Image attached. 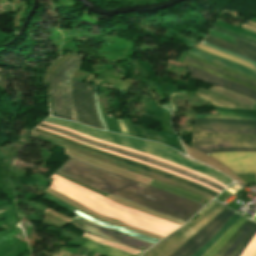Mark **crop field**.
Returning a JSON list of instances; mask_svg holds the SVG:
<instances>
[{
  "label": "crop field",
  "mask_w": 256,
  "mask_h": 256,
  "mask_svg": "<svg viewBox=\"0 0 256 256\" xmlns=\"http://www.w3.org/2000/svg\"><path fill=\"white\" fill-rule=\"evenodd\" d=\"M45 121L76 130L78 132H81V133L88 135L90 137H93V138H97V139H100L103 141H107L110 143H114L117 145H121L124 147H128L131 149H135L138 151H142L145 153L155 155L157 157L163 158L165 160L176 163L183 167L197 171L204 175H208V176L220 181L221 183H223L226 186L228 184L232 183V181L229 180L227 177H225L224 175H222L210 168H207L205 166L199 165L197 163L191 162L189 160H186V159H183L181 157L171 154L172 149L165 147L161 144L152 143V142H148V141H144V140H140V139L124 136V135L99 131V130L88 128V127H85V126H82V125H79L76 123H72V122H69L66 120L55 119V118H51V117H48Z\"/></svg>",
  "instance_id": "obj_3"
},
{
  "label": "crop field",
  "mask_w": 256,
  "mask_h": 256,
  "mask_svg": "<svg viewBox=\"0 0 256 256\" xmlns=\"http://www.w3.org/2000/svg\"><path fill=\"white\" fill-rule=\"evenodd\" d=\"M218 114L256 116V110H231L216 108Z\"/></svg>",
  "instance_id": "obj_30"
},
{
  "label": "crop field",
  "mask_w": 256,
  "mask_h": 256,
  "mask_svg": "<svg viewBox=\"0 0 256 256\" xmlns=\"http://www.w3.org/2000/svg\"><path fill=\"white\" fill-rule=\"evenodd\" d=\"M204 41L256 60V47L240 40L235 39L237 46L215 39L210 36L206 37Z\"/></svg>",
  "instance_id": "obj_16"
},
{
  "label": "crop field",
  "mask_w": 256,
  "mask_h": 256,
  "mask_svg": "<svg viewBox=\"0 0 256 256\" xmlns=\"http://www.w3.org/2000/svg\"><path fill=\"white\" fill-rule=\"evenodd\" d=\"M195 48L200 49V50H203V51H205V52H208V53L213 54V55H216V56H220V57L226 58V59H228V60H230V61H233V62H235V63L244 65V66H246V67H248V68H251V69L255 70L254 67H252L250 64H248V63L245 62V61H242V60H239V59H237V58L228 56V55H226V54H224V53H222V52H219V51H217V50H214V49H212V48L202 46V45H200L199 43L195 46ZM255 71H256V70H255Z\"/></svg>",
  "instance_id": "obj_28"
},
{
  "label": "crop field",
  "mask_w": 256,
  "mask_h": 256,
  "mask_svg": "<svg viewBox=\"0 0 256 256\" xmlns=\"http://www.w3.org/2000/svg\"><path fill=\"white\" fill-rule=\"evenodd\" d=\"M192 147L199 151L217 147L256 148V127L194 126Z\"/></svg>",
  "instance_id": "obj_5"
},
{
  "label": "crop field",
  "mask_w": 256,
  "mask_h": 256,
  "mask_svg": "<svg viewBox=\"0 0 256 256\" xmlns=\"http://www.w3.org/2000/svg\"><path fill=\"white\" fill-rule=\"evenodd\" d=\"M43 123H45V122H43ZM46 124H49V123H46ZM50 125H53V126H56V127H59V128H63V129L69 130V131H72V130H70V129H67V128H64V127H61V126H58V125H54V124H50ZM72 132H74V131H72ZM75 133H77V132H75ZM77 134H79V133H77ZM79 135L85 136V135H82V134H79ZM85 137H87V136H85ZM88 138H90V137H88ZM91 139H93V138H91ZM94 140H97V139H94ZM97 141H100V140H97ZM100 142H103V141H100ZM103 143H106V144H109V145H112V146H116V147H120V148H123V149H127V150H130V151L139 153V154H141V155H144V156H147V157H150V158H153V159H156V160H159V161L168 163V164L173 165V166H176V167H178V168H181V169H184V170L193 172V173H195V174H197V175H200V176H202V177H204V178H206V179L212 180V181H214V182L220 184V185L223 186V187H226V186H224L223 184H221V183L215 181L214 179H212V178H210V177L204 176V175H202V174H199V173H197V172H194V171H191V170H189V169L183 168V167H181V166L175 165V164H173V163H170V162H168V161H165V160H162V159H160V158L154 157V156H152V155L145 154V153H142V152H138V151H135V150H131V149H128V148H124V147H121V146H117V145H114V144H110V143H107V142H103Z\"/></svg>",
  "instance_id": "obj_25"
},
{
  "label": "crop field",
  "mask_w": 256,
  "mask_h": 256,
  "mask_svg": "<svg viewBox=\"0 0 256 256\" xmlns=\"http://www.w3.org/2000/svg\"><path fill=\"white\" fill-rule=\"evenodd\" d=\"M72 96L79 121L91 127L102 129L94 106V85L72 81Z\"/></svg>",
  "instance_id": "obj_6"
},
{
  "label": "crop field",
  "mask_w": 256,
  "mask_h": 256,
  "mask_svg": "<svg viewBox=\"0 0 256 256\" xmlns=\"http://www.w3.org/2000/svg\"><path fill=\"white\" fill-rule=\"evenodd\" d=\"M45 198H47V199H49V200H51V201H53V202H55V203H57V204H59V205L65 207L66 209H68V210H70V211H72V212L75 210V209H73V208H71V207H69V206L63 204L62 202H60L59 200H57L56 198H54V197H52V196H50V195H48V194H46Z\"/></svg>",
  "instance_id": "obj_34"
},
{
  "label": "crop field",
  "mask_w": 256,
  "mask_h": 256,
  "mask_svg": "<svg viewBox=\"0 0 256 256\" xmlns=\"http://www.w3.org/2000/svg\"><path fill=\"white\" fill-rule=\"evenodd\" d=\"M70 224L76 226L77 228L83 231L93 233L95 235L101 236L103 238L112 240L114 242H117L123 245H127L139 250H141L142 248H145L144 250H141V251H145L147 248L153 245V244H149L147 242L141 241L139 239L131 238L118 231L109 230L107 228L98 226L78 216H76Z\"/></svg>",
  "instance_id": "obj_9"
},
{
  "label": "crop field",
  "mask_w": 256,
  "mask_h": 256,
  "mask_svg": "<svg viewBox=\"0 0 256 256\" xmlns=\"http://www.w3.org/2000/svg\"><path fill=\"white\" fill-rule=\"evenodd\" d=\"M240 217L241 216L235 213L215 234V236L210 241H208L202 248H200L193 256H202L222 236V234Z\"/></svg>",
  "instance_id": "obj_22"
},
{
  "label": "crop field",
  "mask_w": 256,
  "mask_h": 256,
  "mask_svg": "<svg viewBox=\"0 0 256 256\" xmlns=\"http://www.w3.org/2000/svg\"><path fill=\"white\" fill-rule=\"evenodd\" d=\"M218 151H256V149H242V148H217V149H210L202 151L206 154Z\"/></svg>",
  "instance_id": "obj_31"
},
{
  "label": "crop field",
  "mask_w": 256,
  "mask_h": 256,
  "mask_svg": "<svg viewBox=\"0 0 256 256\" xmlns=\"http://www.w3.org/2000/svg\"><path fill=\"white\" fill-rule=\"evenodd\" d=\"M256 233V223L246 221L214 256H239Z\"/></svg>",
  "instance_id": "obj_13"
},
{
  "label": "crop field",
  "mask_w": 256,
  "mask_h": 256,
  "mask_svg": "<svg viewBox=\"0 0 256 256\" xmlns=\"http://www.w3.org/2000/svg\"><path fill=\"white\" fill-rule=\"evenodd\" d=\"M81 246L86 247V248H88L92 251L98 252L100 254H103L105 256H133V255H130L128 253L110 248L108 246L100 245V244H98L96 242H93L89 239H87L84 243H82ZM142 253L143 252H141V253H139L135 256H139Z\"/></svg>",
  "instance_id": "obj_18"
},
{
  "label": "crop field",
  "mask_w": 256,
  "mask_h": 256,
  "mask_svg": "<svg viewBox=\"0 0 256 256\" xmlns=\"http://www.w3.org/2000/svg\"><path fill=\"white\" fill-rule=\"evenodd\" d=\"M34 131H37L39 133H42V134H45L47 136H50V137H53V138H56L58 140H61V141H64L66 143H69V144H72L74 146H77V147H80L82 149H85L87 151H90V152H93L95 154H99V155H103V156H106L108 158H111V159H114L116 161H119V162H122L124 164H127V165H131V166H134V167H137V168H141V169H144V170H147V171H150V172H153L155 174H158V175H161V176H164V177H167V178H170V179H173L175 181H178V182H181V183H184V184H187L189 186H192L198 190H201L205 193H208L214 197H216L218 195V193L214 192V191H211L197 183H193V182H189V181H186L180 177H177L175 175H172V174H169L167 172H164V171H161V170H158L156 168H153V167H149V166H145V165H142V164H139V163H136V162H133V161H130V160H127V159H124V158H121V157H118V156H115V155H112V154H109V153H106V152H103V151H100V150H97V149H94V148H91V147H88V146H85V145H82V144H79L77 142H74L68 138H65V137H61V136H58V135H55V134H52L50 132H47V131H44V130H40V129H37V128H34Z\"/></svg>",
  "instance_id": "obj_8"
},
{
  "label": "crop field",
  "mask_w": 256,
  "mask_h": 256,
  "mask_svg": "<svg viewBox=\"0 0 256 256\" xmlns=\"http://www.w3.org/2000/svg\"><path fill=\"white\" fill-rule=\"evenodd\" d=\"M212 29H215V30H218V31H220V32H223V33H226V34H229V35L238 37V38H240V39H243V40H245V41H248V42L253 43V44L256 45V42H254V41H251V40H248V39L239 37V36H237V35H234V34H232V33L227 32V31H225V30H223V29H220V28H217V27H214V26H212Z\"/></svg>",
  "instance_id": "obj_36"
},
{
  "label": "crop field",
  "mask_w": 256,
  "mask_h": 256,
  "mask_svg": "<svg viewBox=\"0 0 256 256\" xmlns=\"http://www.w3.org/2000/svg\"><path fill=\"white\" fill-rule=\"evenodd\" d=\"M75 213H77V214H79V215H81V216H83V217H85V218H87V219H89V220H91V221H93V222L99 224V225H102V226H104V227H108V228H112V229L119 230V231H121V232H123V233H125V234L135 236V237L140 238V239H142V240H144V241H147V242H150V243H153V244H155L156 242H158V240H154V239H150V238L143 237V236H141V235H139V234H136V233H134V232H132V231H130V230L122 229V228L117 227V226H113V225H110V224L103 223V222H101V221H98V220H96V219H94V218H91V217H89V216H87V215H85V214H83V213H81V212H78V211H76V210H75Z\"/></svg>",
  "instance_id": "obj_24"
},
{
  "label": "crop field",
  "mask_w": 256,
  "mask_h": 256,
  "mask_svg": "<svg viewBox=\"0 0 256 256\" xmlns=\"http://www.w3.org/2000/svg\"><path fill=\"white\" fill-rule=\"evenodd\" d=\"M225 207L219 206L213 210L208 216H206L200 223H198L194 228H192L188 233H186L182 238L176 241L174 244L169 246L163 252L157 256H170L181 246H183L187 241L194 237L198 232H200L206 225H208Z\"/></svg>",
  "instance_id": "obj_15"
},
{
  "label": "crop field",
  "mask_w": 256,
  "mask_h": 256,
  "mask_svg": "<svg viewBox=\"0 0 256 256\" xmlns=\"http://www.w3.org/2000/svg\"><path fill=\"white\" fill-rule=\"evenodd\" d=\"M198 124H225V125H250V126H256V121L233 120V119H218V118L195 119L194 125H198Z\"/></svg>",
  "instance_id": "obj_21"
},
{
  "label": "crop field",
  "mask_w": 256,
  "mask_h": 256,
  "mask_svg": "<svg viewBox=\"0 0 256 256\" xmlns=\"http://www.w3.org/2000/svg\"><path fill=\"white\" fill-rule=\"evenodd\" d=\"M37 128H41V127L37 126ZM41 129H44V128H41ZM44 130H46V129H44ZM47 131H49V130H47ZM50 132H52V131H50ZM53 133H55V132H53ZM55 134H58V133H55ZM58 135H61V134H58ZM61 136H64V135H61ZM65 137H67V136H65ZM68 138H69V137H68ZM70 139H73V138H70ZM73 140H75V141H77V142H80V143H82V144H85V145H88V146L97 148V147H95V146L89 145V144L84 143V142H81V141H79V140H76V139H73ZM97 149H100V148H97ZM100 150H103V151H106V152H109V153H112V154H115V155H118V156H121V157L130 159V160H133V161H136V162L145 164V165H149V166L156 167V166H154V165H151V164L142 162V161H140V160H137V159H134V158H131V157H127V156H124V155H121V154H117V153H114V152H110V151H107V150H104V149H100ZM156 168H159V167H156ZM159 169L164 170V171H167V172L172 173V174H175V175H177V176L183 177V178H185V179H187V180L197 182V183H199V184H201V185H203V186H205V187H208V188H210V189H212V190H214V191L220 193V191H218V190H216V189H214V188H212V187H209V186H207V185H205V184H203V183H201V182H199V181L193 180V179H191V178H188V177H185V176L176 174V173H174V172H171V171H168V170H165V169H162V168H159ZM159 169H158V170H159Z\"/></svg>",
  "instance_id": "obj_26"
},
{
  "label": "crop field",
  "mask_w": 256,
  "mask_h": 256,
  "mask_svg": "<svg viewBox=\"0 0 256 256\" xmlns=\"http://www.w3.org/2000/svg\"><path fill=\"white\" fill-rule=\"evenodd\" d=\"M83 58L68 54L58 59L45 74L53 116L77 121L71 101V78Z\"/></svg>",
  "instance_id": "obj_4"
},
{
  "label": "crop field",
  "mask_w": 256,
  "mask_h": 256,
  "mask_svg": "<svg viewBox=\"0 0 256 256\" xmlns=\"http://www.w3.org/2000/svg\"><path fill=\"white\" fill-rule=\"evenodd\" d=\"M215 203V201L209 203L197 216H195L192 221L194 219H196L199 215H201L205 210H207L211 205H213ZM191 223V221H189L188 223H186L184 226L180 227L179 229H177L175 232H173L172 234H170L169 236H167L165 239H163L162 241H160L158 244H156L154 247L150 248L149 250H147L142 256L148 254L149 252L153 251L154 249H156L157 247H159L160 245H162L164 242H166L168 239H170L172 236H174L176 233H178L180 230H182L183 228H185L187 225H189Z\"/></svg>",
  "instance_id": "obj_29"
},
{
  "label": "crop field",
  "mask_w": 256,
  "mask_h": 256,
  "mask_svg": "<svg viewBox=\"0 0 256 256\" xmlns=\"http://www.w3.org/2000/svg\"><path fill=\"white\" fill-rule=\"evenodd\" d=\"M238 200H240L239 198H235L233 201H231L227 206L229 207V208H231V209H233V210H237L239 207H240V203H238V204H236L235 202L236 201H238ZM241 201V200H240ZM243 205V204H242ZM241 205V206H242Z\"/></svg>",
  "instance_id": "obj_37"
},
{
  "label": "crop field",
  "mask_w": 256,
  "mask_h": 256,
  "mask_svg": "<svg viewBox=\"0 0 256 256\" xmlns=\"http://www.w3.org/2000/svg\"><path fill=\"white\" fill-rule=\"evenodd\" d=\"M219 204H214L212 207H210L206 212H204L200 217H198L194 222H192L188 227H186L184 230H182L180 233L175 235L173 238H171L169 241L164 243L162 246L154 250L153 252L149 253L146 256H156L158 253H160L162 250L167 248L169 245L174 243L177 239H179L181 236H183L187 231H189L192 227H194L198 222H200L206 215H208L214 208H216Z\"/></svg>",
  "instance_id": "obj_19"
},
{
  "label": "crop field",
  "mask_w": 256,
  "mask_h": 256,
  "mask_svg": "<svg viewBox=\"0 0 256 256\" xmlns=\"http://www.w3.org/2000/svg\"><path fill=\"white\" fill-rule=\"evenodd\" d=\"M189 70H191V78L201 80L213 85L221 86L223 88L248 96L256 100V91L253 89L244 87L242 85L236 84L234 82H231L229 80L207 73L197 68L189 67Z\"/></svg>",
  "instance_id": "obj_14"
},
{
  "label": "crop field",
  "mask_w": 256,
  "mask_h": 256,
  "mask_svg": "<svg viewBox=\"0 0 256 256\" xmlns=\"http://www.w3.org/2000/svg\"><path fill=\"white\" fill-rule=\"evenodd\" d=\"M188 53L194 55V56H197V57H200L202 59H205V60H208V61H211V62H214V63H217V64H220L224 67H227L231 70H234L238 73H241V74H244V75H247L249 77H252V78H255L256 79V72L253 71V70H250L248 68H245L243 66H240L238 64H235V63H232L226 59H222V58H218V57H215V56H212L210 54H207V53H204L202 51H199L195 48H192Z\"/></svg>",
  "instance_id": "obj_17"
},
{
  "label": "crop field",
  "mask_w": 256,
  "mask_h": 256,
  "mask_svg": "<svg viewBox=\"0 0 256 256\" xmlns=\"http://www.w3.org/2000/svg\"><path fill=\"white\" fill-rule=\"evenodd\" d=\"M52 177L54 180L50 188L76 200L82 205L102 215L111 217L136 228L156 233L163 237L180 227V225L121 206L57 175L53 174Z\"/></svg>",
  "instance_id": "obj_2"
},
{
  "label": "crop field",
  "mask_w": 256,
  "mask_h": 256,
  "mask_svg": "<svg viewBox=\"0 0 256 256\" xmlns=\"http://www.w3.org/2000/svg\"><path fill=\"white\" fill-rule=\"evenodd\" d=\"M202 43H203V44H206V45H208V46H210V47L216 48V49H218V50L224 51V52H226V53L232 54V55H234V56H237V57H239V58H241V59H244V60H246V61H248V62H252L253 65L256 67V62H254V61H252V60H250V59H247V58L242 57V56H240V55H238V54H235V53H232V52L223 50V49H221V48L215 47V46L210 45V44H208V43H205V42H203V41H202Z\"/></svg>",
  "instance_id": "obj_33"
},
{
  "label": "crop field",
  "mask_w": 256,
  "mask_h": 256,
  "mask_svg": "<svg viewBox=\"0 0 256 256\" xmlns=\"http://www.w3.org/2000/svg\"><path fill=\"white\" fill-rule=\"evenodd\" d=\"M235 212L225 209L221 212L205 229L187 242L172 256H192L200 247H202L234 214Z\"/></svg>",
  "instance_id": "obj_11"
},
{
  "label": "crop field",
  "mask_w": 256,
  "mask_h": 256,
  "mask_svg": "<svg viewBox=\"0 0 256 256\" xmlns=\"http://www.w3.org/2000/svg\"><path fill=\"white\" fill-rule=\"evenodd\" d=\"M253 219L256 220V216Z\"/></svg>",
  "instance_id": "obj_38"
},
{
  "label": "crop field",
  "mask_w": 256,
  "mask_h": 256,
  "mask_svg": "<svg viewBox=\"0 0 256 256\" xmlns=\"http://www.w3.org/2000/svg\"><path fill=\"white\" fill-rule=\"evenodd\" d=\"M254 108H256V105H255V107Z\"/></svg>",
  "instance_id": "obj_39"
},
{
  "label": "crop field",
  "mask_w": 256,
  "mask_h": 256,
  "mask_svg": "<svg viewBox=\"0 0 256 256\" xmlns=\"http://www.w3.org/2000/svg\"><path fill=\"white\" fill-rule=\"evenodd\" d=\"M84 237L86 238H89L93 241H96L100 244H103V245H108V246H111V247H114V248H117V249H120L122 251H125V252H128V253H131L133 255L139 253L140 251H137L135 249H132V248H129V247H126V246H122V245H119V244H116V243H113L111 241H108V240H105V239H102V238H99L97 236H94V235H91L89 233H84L83 235Z\"/></svg>",
  "instance_id": "obj_27"
},
{
  "label": "crop field",
  "mask_w": 256,
  "mask_h": 256,
  "mask_svg": "<svg viewBox=\"0 0 256 256\" xmlns=\"http://www.w3.org/2000/svg\"><path fill=\"white\" fill-rule=\"evenodd\" d=\"M208 155L219 160L234 174H256V152H218Z\"/></svg>",
  "instance_id": "obj_12"
},
{
  "label": "crop field",
  "mask_w": 256,
  "mask_h": 256,
  "mask_svg": "<svg viewBox=\"0 0 256 256\" xmlns=\"http://www.w3.org/2000/svg\"><path fill=\"white\" fill-rule=\"evenodd\" d=\"M202 117H219V118H235V119L256 120V117H237V116H222V115H196L195 118H202Z\"/></svg>",
  "instance_id": "obj_32"
},
{
  "label": "crop field",
  "mask_w": 256,
  "mask_h": 256,
  "mask_svg": "<svg viewBox=\"0 0 256 256\" xmlns=\"http://www.w3.org/2000/svg\"><path fill=\"white\" fill-rule=\"evenodd\" d=\"M96 94H97V90H96V86H95V101H96L97 113H98V116H99V118H100V120H101V124H102V126H103V129L107 131V129H106L105 125H104V121H103V117H102V114H101L99 105H98V101H97Z\"/></svg>",
  "instance_id": "obj_35"
},
{
  "label": "crop field",
  "mask_w": 256,
  "mask_h": 256,
  "mask_svg": "<svg viewBox=\"0 0 256 256\" xmlns=\"http://www.w3.org/2000/svg\"><path fill=\"white\" fill-rule=\"evenodd\" d=\"M195 94L218 107L252 109L255 104L253 100L215 86L207 91L198 89Z\"/></svg>",
  "instance_id": "obj_10"
},
{
  "label": "crop field",
  "mask_w": 256,
  "mask_h": 256,
  "mask_svg": "<svg viewBox=\"0 0 256 256\" xmlns=\"http://www.w3.org/2000/svg\"><path fill=\"white\" fill-rule=\"evenodd\" d=\"M185 61H188V62L197 64V65H200V66L205 67V68H207V69H210V70H212V71L218 72V73H220V74L226 75V76H228V77L234 78V79H236V80L242 81V82H244V83H247V84H250V85L256 87V83H255V82H253V81H251V80H249V79H246V78L237 76V75H235V74H232V73H230V72H227V71H223V70L214 68V67H212V66L206 65V64H204V63H201V62H199V61H197V60H194V59H191V58H188V57H186Z\"/></svg>",
  "instance_id": "obj_23"
},
{
  "label": "crop field",
  "mask_w": 256,
  "mask_h": 256,
  "mask_svg": "<svg viewBox=\"0 0 256 256\" xmlns=\"http://www.w3.org/2000/svg\"><path fill=\"white\" fill-rule=\"evenodd\" d=\"M244 221H246V219L241 217L237 222H235L203 256H213L226 243V241L234 234V232L240 227V225Z\"/></svg>",
  "instance_id": "obj_20"
},
{
  "label": "crop field",
  "mask_w": 256,
  "mask_h": 256,
  "mask_svg": "<svg viewBox=\"0 0 256 256\" xmlns=\"http://www.w3.org/2000/svg\"><path fill=\"white\" fill-rule=\"evenodd\" d=\"M56 172L96 190L107 192L184 222L203 208V205L189 199L125 179L72 157Z\"/></svg>",
  "instance_id": "obj_1"
},
{
  "label": "crop field",
  "mask_w": 256,
  "mask_h": 256,
  "mask_svg": "<svg viewBox=\"0 0 256 256\" xmlns=\"http://www.w3.org/2000/svg\"><path fill=\"white\" fill-rule=\"evenodd\" d=\"M39 126L44 127L46 129H49V130H52V131H56V132L65 134V135L70 136V137H74L76 139H79L81 141H84V142H87L89 144L95 145L97 147L108 149V150H111V151H114V152H118V153H121V154H124V155H127V156H131V157L140 159L142 161H145V162L157 165L159 167H162V168H165V169L177 172L179 174L191 177L193 179H196V180H199L201 182H204V183H206V184H208V185H210V186H212V187H214V188H216V189H218L220 191L225 189V188L219 186L218 184H216L214 182H211L209 180H206V179H204L202 177H199V176H197V175H195L193 173H190V172H187V171L175 168L173 166H170V165H167L165 163H162V162H159V161H156V160H153V159L141 156L139 154H136V153H133V152H130V151H126V150H123V149L115 148V147H112V146H108V145H105V144H101V143H98V142L93 141L91 139L78 136V135H76V134H74L72 132H69V131H66V130H63V129H59V128H56V127H53V126H50V125H46V124H43V123L39 124Z\"/></svg>",
  "instance_id": "obj_7"
}]
</instances>
